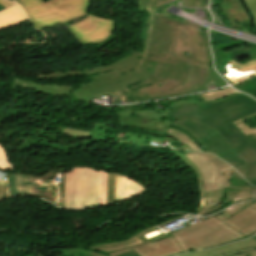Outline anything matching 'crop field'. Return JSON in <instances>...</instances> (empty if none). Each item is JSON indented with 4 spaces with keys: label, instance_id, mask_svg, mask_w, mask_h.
I'll return each mask as SVG.
<instances>
[{
    "label": "crop field",
    "instance_id": "obj_32",
    "mask_svg": "<svg viewBox=\"0 0 256 256\" xmlns=\"http://www.w3.org/2000/svg\"><path fill=\"white\" fill-rule=\"evenodd\" d=\"M4 152H3V148L0 145V169L1 170L13 169L9 160L6 158Z\"/></svg>",
    "mask_w": 256,
    "mask_h": 256
},
{
    "label": "crop field",
    "instance_id": "obj_22",
    "mask_svg": "<svg viewBox=\"0 0 256 256\" xmlns=\"http://www.w3.org/2000/svg\"><path fill=\"white\" fill-rule=\"evenodd\" d=\"M168 135L170 136H173L175 137L176 139H178L181 143L183 144H188L189 147L193 150V151H202L200 150L196 145L195 143L190 139L188 138L184 133L180 132V131H177V130H174L172 128H169L168 130Z\"/></svg>",
    "mask_w": 256,
    "mask_h": 256
},
{
    "label": "crop field",
    "instance_id": "obj_12",
    "mask_svg": "<svg viewBox=\"0 0 256 256\" xmlns=\"http://www.w3.org/2000/svg\"><path fill=\"white\" fill-rule=\"evenodd\" d=\"M137 251L140 256H168L182 252L173 237L155 242H148L124 250L108 253L110 256H117L130 251ZM106 254V255H108Z\"/></svg>",
    "mask_w": 256,
    "mask_h": 256
},
{
    "label": "crop field",
    "instance_id": "obj_38",
    "mask_svg": "<svg viewBox=\"0 0 256 256\" xmlns=\"http://www.w3.org/2000/svg\"><path fill=\"white\" fill-rule=\"evenodd\" d=\"M5 197H8L7 188L3 187V186H0V200L5 198Z\"/></svg>",
    "mask_w": 256,
    "mask_h": 256
},
{
    "label": "crop field",
    "instance_id": "obj_23",
    "mask_svg": "<svg viewBox=\"0 0 256 256\" xmlns=\"http://www.w3.org/2000/svg\"><path fill=\"white\" fill-rule=\"evenodd\" d=\"M116 175L108 173L107 176V203H114Z\"/></svg>",
    "mask_w": 256,
    "mask_h": 256
},
{
    "label": "crop field",
    "instance_id": "obj_21",
    "mask_svg": "<svg viewBox=\"0 0 256 256\" xmlns=\"http://www.w3.org/2000/svg\"><path fill=\"white\" fill-rule=\"evenodd\" d=\"M236 199V202L251 200L250 191L225 190V202L229 203Z\"/></svg>",
    "mask_w": 256,
    "mask_h": 256
},
{
    "label": "crop field",
    "instance_id": "obj_13",
    "mask_svg": "<svg viewBox=\"0 0 256 256\" xmlns=\"http://www.w3.org/2000/svg\"><path fill=\"white\" fill-rule=\"evenodd\" d=\"M178 256H256L255 240L250 238L246 241Z\"/></svg>",
    "mask_w": 256,
    "mask_h": 256
},
{
    "label": "crop field",
    "instance_id": "obj_9",
    "mask_svg": "<svg viewBox=\"0 0 256 256\" xmlns=\"http://www.w3.org/2000/svg\"><path fill=\"white\" fill-rule=\"evenodd\" d=\"M227 44L212 46L217 70L234 84L256 74V48L250 47L229 55L225 54Z\"/></svg>",
    "mask_w": 256,
    "mask_h": 256
},
{
    "label": "crop field",
    "instance_id": "obj_39",
    "mask_svg": "<svg viewBox=\"0 0 256 256\" xmlns=\"http://www.w3.org/2000/svg\"><path fill=\"white\" fill-rule=\"evenodd\" d=\"M120 256H139V255H138V253H136L135 251H133V252L126 253V254H123V255H120Z\"/></svg>",
    "mask_w": 256,
    "mask_h": 256
},
{
    "label": "crop field",
    "instance_id": "obj_1",
    "mask_svg": "<svg viewBox=\"0 0 256 256\" xmlns=\"http://www.w3.org/2000/svg\"><path fill=\"white\" fill-rule=\"evenodd\" d=\"M205 46V33L155 13L146 62L159 66L148 78L150 83H156L164 98L226 85L208 69L210 58Z\"/></svg>",
    "mask_w": 256,
    "mask_h": 256
},
{
    "label": "crop field",
    "instance_id": "obj_25",
    "mask_svg": "<svg viewBox=\"0 0 256 256\" xmlns=\"http://www.w3.org/2000/svg\"><path fill=\"white\" fill-rule=\"evenodd\" d=\"M76 75H82L81 74V69L74 70V71L42 74L40 76H35L33 78H37V79H51V78H61V77H69V76H76Z\"/></svg>",
    "mask_w": 256,
    "mask_h": 256
},
{
    "label": "crop field",
    "instance_id": "obj_45",
    "mask_svg": "<svg viewBox=\"0 0 256 256\" xmlns=\"http://www.w3.org/2000/svg\"><path fill=\"white\" fill-rule=\"evenodd\" d=\"M3 9H5V8L0 5V11L3 10Z\"/></svg>",
    "mask_w": 256,
    "mask_h": 256
},
{
    "label": "crop field",
    "instance_id": "obj_26",
    "mask_svg": "<svg viewBox=\"0 0 256 256\" xmlns=\"http://www.w3.org/2000/svg\"><path fill=\"white\" fill-rule=\"evenodd\" d=\"M247 204V205H245ZM249 204H251V202H246V203H241V204H236L228 209L223 210V214L216 216L214 215L216 218L220 219V220H225L226 218L230 217L231 215L235 214L236 212L246 208Z\"/></svg>",
    "mask_w": 256,
    "mask_h": 256
},
{
    "label": "crop field",
    "instance_id": "obj_27",
    "mask_svg": "<svg viewBox=\"0 0 256 256\" xmlns=\"http://www.w3.org/2000/svg\"><path fill=\"white\" fill-rule=\"evenodd\" d=\"M255 115H256V114H253V115L248 116V117H246V118H244V119H241V120H239V121H235V122H234V124L237 126V128H239L245 136H248V135H250V134H255V135H256V128L250 129V128L247 126V124L243 121V120H245V119H247V118H250V117H253V116H255Z\"/></svg>",
    "mask_w": 256,
    "mask_h": 256
},
{
    "label": "crop field",
    "instance_id": "obj_35",
    "mask_svg": "<svg viewBox=\"0 0 256 256\" xmlns=\"http://www.w3.org/2000/svg\"><path fill=\"white\" fill-rule=\"evenodd\" d=\"M240 232L248 237L253 235L254 233H256V223Z\"/></svg>",
    "mask_w": 256,
    "mask_h": 256
},
{
    "label": "crop field",
    "instance_id": "obj_5",
    "mask_svg": "<svg viewBox=\"0 0 256 256\" xmlns=\"http://www.w3.org/2000/svg\"><path fill=\"white\" fill-rule=\"evenodd\" d=\"M171 234L183 252L213 247L245 238L214 216Z\"/></svg>",
    "mask_w": 256,
    "mask_h": 256
},
{
    "label": "crop field",
    "instance_id": "obj_30",
    "mask_svg": "<svg viewBox=\"0 0 256 256\" xmlns=\"http://www.w3.org/2000/svg\"><path fill=\"white\" fill-rule=\"evenodd\" d=\"M171 0H146V8H157ZM190 2H200L205 3V0H184Z\"/></svg>",
    "mask_w": 256,
    "mask_h": 256
},
{
    "label": "crop field",
    "instance_id": "obj_29",
    "mask_svg": "<svg viewBox=\"0 0 256 256\" xmlns=\"http://www.w3.org/2000/svg\"><path fill=\"white\" fill-rule=\"evenodd\" d=\"M230 186L250 188L247 186V182L235 170L233 171Z\"/></svg>",
    "mask_w": 256,
    "mask_h": 256
},
{
    "label": "crop field",
    "instance_id": "obj_42",
    "mask_svg": "<svg viewBox=\"0 0 256 256\" xmlns=\"http://www.w3.org/2000/svg\"><path fill=\"white\" fill-rule=\"evenodd\" d=\"M249 207L256 209V203L255 204H251Z\"/></svg>",
    "mask_w": 256,
    "mask_h": 256
},
{
    "label": "crop field",
    "instance_id": "obj_16",
    "mask_svg": "<svg viewBox=\"0 0 256 256\" xmlns=\"http://www.w3.org/2000/svg\"><path fill=\"white\" fill-rule=\"evenodd\" d=\"M144 190L146 189L142 188L135 182L117 175L115 201L134 196Z\"/></svg>",
    "mask_w": 256,
    "mask_h": 256
},
{
    "label": "crop field",
    "instance_id": "obj_37",
    "mask_svg": "<svg viewBox=\"0 0 256 256\" xmlns=\"http://www.w3.org/2000/svg\"><path fill=\"white\" fill-rule=\"evenodd\" d=\"M7 182H8V175L0 172V185L7 187Z\"/></svg>",
    "mask_w": 256,
    "mask_h": 256
},
{
    "label": "crop field",
    "instance_id": "obj_6",
    "mask_svg": "<svg viewBox=\"0 0 256 256\" xmlns=\"http://www.w3.org/2000/svg\"><path fill=\"white\" fill-rule=\"evenodd\" d=\"M36 28H47L85 15L91 0H18Z\"/></svg>",
    "mask_w": 256,
    "mask_h": 256
},
{
    "label": "crop field",
    "instance_id": "obj_28",
    "mask_svg": "<svg viewBox=\"0 0 256 256\" xmlns=\"http://www.w3.org/2000/svg\"><path fill=\"white\" fill-rule=\"evenodd\" d=\"M66 256H106L86 250L61 251Z\"/></svg>",
    "mask_w": 256,
    "mask_h": 256
},
{
    "label": "crop field",
    "instance_id": "obj_31",
    "mask_svg": "<svg viewBox=\"0 0 256 256\" xmlns=\"http://www.w3.org/2000/svg\"><path fill=\"white\" fill-rule=\"evenodd\" d=\"M242 92L253 94L256 91V83L253 81H248L238 86H234Z\"/></svg>",
    "mask_w": 256,
    "mask_h": 256
},
{
    "label": "crop field",
    "instance_id": "obj_20",
    "mask_svg": "<svg viewBox=\"0 0 256 256\" xmlns=\"http://www.w3.org/2000/svg\"><path fill=\"white\" fill-rule=\"evenodd\" d=\"M237 93H239V92H237L231 88H228V89H224V90L212 91V92L195 95V96L199 97L205 101H208V100H219V99H222L223 97H228V96H231V95L237 94Z\"/></svg>",
    "mask_w": 256,
    "mask_h": 256
},
{
    "label": "crop field",
    "instance_id": "obj_40",
    "mask_svg": "<svg viewBox=\"0 0 256 256\" xmlns=\"http://www.w3.org/2000/svg\"><path fill=\"white\" fill-rule=\"evenodd\" d=\"M0 4H1L2 6H4V7H6V8H8V7L11 6L10 4L4 2L3 0H0Z\"/></svg>",
    "mask_w": 256,
    "mask_h": 256
},
{
    "label": "crop field",
    "instance_id": "obj_14",
    "mask_svg": "<svg viewBox=\"0 0 256 256\" xmlns=\"http://www.w3.org/2000/svg\"><path fill=\"white\" fill-rule=\"evenodd\" d=\"M16 85L29 88L32 90L40 91L46 94H52L54 96L66 95L70 97L72 86L61 85H42L35 82H29L25 80H16Z\"/></svg>",
    "mask_w": 256,
    "mask_h": 256
},
{
    "label": "crop field",
    "instance_id": "obj_8",
    "mask_svg": "<svg viewBox=\"0 0 256 256\" xmlns=\"http://www.w3.org/2000/svg\"><path fill=\"white\" fill-rule=\"evenodd\" d=\"M100 171L88 168L72 169L65 174V207L88 208L97 206Z\"/></svg>",
    "mask_w": 256,
    "mask_h": 256
},
{
    "label": "crop field",
    "instance_id": "obj_11",
    "mask_svg": "<svg viewBox=\"0 0 256 256\" xmlns=\"http://www.w3.org/2000/svg\"><path fill=\"white\" fill-rule=\"evenodd\" d=\"M204 102L199 98H195L193 96L178 98V99H171L162 103L166 110H161L155 103L151 104H136V105H128V106H120L114 108L118 117L124 116H140L144 118H150L157 121H163L166 123H171L170 120L166 117V112L181 103H199Z\"/></svg>",
    "mask_w": 256,
    "mask_h": 256
},
{
    "label": "crop field",
    "instance_id": "obj_36",
    "mask_svg": "<svg viewBox=\"0 0 256 256\" xmlns=\"http://www.w3.org/2000/svg\"><path fill=\"white\" fill-rule=\"evenodd\" d=\"M250 7L254 17H255V25H256V0H245Z\"/></svg>",
    "mask_w": 256,
    "mask_h": 256
},
{
    "label": "crop field",
    "instance_id": "obj_44",
    "mask_svg": "<svg viewBox=\"0 0 256 256\" xmlns=\"http://www.w3.org/2000/svg\"><path fill=\"white\" fill-rule=\"evenodd\" d=\"M252 138L256 141V136L255 135H252Z\"/></svg>",
    "mask_w": 256,
    "mask_h": 256
},
{
    "label": "crop field",
    "instance_id": "obj_10",
    "mask_svg": "<svg viewBox=\"0 0 256 256\" xmlns=\"http://www.w3.org/2000/svg\"><path fill=\"white\" fill-rule=\"evenodd\" d=\"M115 21L90 15L87 18L67 26L82 44L101 42L114 30Z\"/></svg>",
    "mask_w": 256,
    "mask_h": 256
},
{
    "label": "crop field",
    "instance_id": "obj_43",
    "mask_svg": "<svg viewBox=\"0 0 256 256\" xmlns=\"http://www.w3.org/2000/svg\"><path fill=\"white\" fill-rule=\"evenodd\" d=\"M5 1L8 2V3H10V4H12V5L15 4L14 1H9V0H5Z\"/></svg>",
    "mask_w": 256,
    "mask_h": 256
},
{
    "label": "crop field",
    "instance_id": "obj_2",
    "mask_svg": "<svg viewBox=\"0 0 256 256\" xmlns=\"http://www.w3.org/2000/svg\"><path fill=\"white\" fill-rule=\"evenodd\" d=\"M256 113V100L242 93L213 103L177 106L166 114L171 121L194 119L213 126L248 161L247 181L256 186V142L232 121Z\"/></svg>",
    "mask_w": 256,
    "mask_h": 256
},
{
    "label": "crop field",
    "instance_id": "obj_41",
    "mask_svg": "<svg viewBox=\"0 0 256 256\" xmlns=\"http://www.w3.org/2000/svg\"><path fill=\"white\" fill-rule=\"evenodd\" d=\"M236 170L244 177L243 166L236 168Z\"/></svg>",
    "mask_w": 256,
    "mask_h": 256
},
{
    "label": "crop field",
    "instance_id": "obj_34",
    "mask_svg": "<svg viewBox=\"0 0 256 256\" xmlns=\"http://www.w3.org/2000/svg\"><path fill=\"white\" fill-rule=\"evenodd\" d=\"M221 8L243 9L239 0H223Z\"/></svg>",
    "mask_w": 256,
    "mask_h": 256
},
{
    "label": "crop field",
    "instance_id": "obj_3",
    "mask_svg": "<svg viewBox=\"0 0 256 256\" xmlns=\"http://www.w3.org/2000/svg\"><path fill=\"white\" fill-rule=\"evenodd\" d=\"M157 66L128 56L100 70L83 71L87 84L73 89L71 96L89 104L100 95H116V104L121 100L126 103L125 99H133L130 89L149 84L147 78L153 75Z\"/></svg>",
    "mask_w": 256,
    "mask_h": 256
},
{
    "label": "crop field",
    "instance_id": "obj_18",
    "mask_svg": "<svg viewBox=\"0 0 256 256\" xmlns=\"http://www.w3.org/2000/svg\"><path fill=\"white\" fill-rule=\"evenodd\" d=\"M28 18L18 5L0 12V30L27 21Z\"/></svg>",
    "mask_w": 256,
    "mask_h": 256
},
{
    "label": "crop field",
    "instance_id": "obj_46",
    "mask_svg": "<svg viewBox=\"0 0 256 256\" xmlns=\"http://www.w3.org/2000/svg\"><path fill=\"white\" fill-rule=\"evenodd\" d=\"M251 238H253V239H255V240H256V235H255V236H253V237H251Z\"/></svg>",
    "mask_w": 256,
    "mask_h": 256
},
{
    "label": "crop field",
    "instance_id": "obj_24",
    "mask_svg": "<svg viewBox=\"0 0 256 256\" xmlns=\"http://www.w3.org/2000/svg\"><path fill=\"white\" fill-rule=\"evenodd\" d=\"M106 176L107 173L101 172L98 189V206L105 204L106 199Z\"/></svg>",
    "mask_w": 256,
    "mask_h": 256
},
{
    "label": "crop field",
    "instance_id": "obj_4",
    "mask_svg": "<svg viewBox=\"0 0 256 256\" xmlns=\"http://www.w3.org/2000/svg\"><path fill=\"white\" fill-rule=\"evenodd\" d=\"M171 152L196 171L201 199H204L206 205L208 202L212 203L224 198L226 188L250 190L229 187L233 168L211 154L185 152L186 154L183 155L176 151Z\"/></svg>",
    "mask_w": 256,
    "mask_h": 256
},
{
    "label": "crop field",
    "instance_id": "obj_7",
    "mask_svg": "<svg viewBox=\"0 0 256 256\" xmlns=\"http://www.w3.org/2000/svg\"><path fill=\"white\" fill-rule=\"evenodd\" d=\"M188 132L208 152L216 154L225 162L236 168L244 166L247 179L246 160L214 128L194 120H178L172 123Z\"/></svg>",
    "mask_w": 256,
    "mask_h": 256
},
{
    "label": "crop field",
    "instance_id": "obj_33",
    "mask_svg": "<svg viewBox=\"0 0 256 256\" xmlns=\"http://www.w3.org/2000/svg\"><path fill=\"white\" fill-rule=\"evenodd\" d=\"M223 200H224V199H221V200H219V201H217V202L212 203L211 205H207V206L201 207V208L199 209L200 214L202 215V214H204V213L212 212V211H214V210L220 208L221 206L225 205V204H222V203H221V202H223ZM216 203H217L218 205L214 207L213 205L216 204Z\"/></svg>",
    "mask_w": 256,
    "mask_h": 256
},
{
    "label": "crop field",
    "instance_id": "obj_15",
    "mask_svg": "<svg viewBox=\"0 0 256 256\" xmlns=\"http://www.w3.org/2000/svg\"><path fill=\"white\" fill-rule=\"evenodd\" d=\"M235 230H241L256 222V210L247 207L223 221Z\"/></svg>",
    "mask_w": 256,
    "mask_h": 256
},
{
    "label": "crop field",
    "instance_id": "obj_19",
    "mask_svg": "<svg viewBox=\"0 0 256 256\" xmlns=\"http://www.w3.org/2000/svg\"><path fill=\"white\" fill-rule=\"evenodd\" d=\"M137 244H141V242L134 235V236L130 237V240H128L126 242L95 245V246H92V247H89V248L104 251L105 253H108V252L124 249V248H127V247H131V246H134V245H137Z\"/></svg>",
    "mask_w": 256,
    "mask_h": 256
},
{
    "label": "crop field",
    "instance_id": "obj_17",
    "mask_svg": "<svg viewBox=\"0 0 256 256\" xmlns=\"http://www.w3.org/2000/svg\"><path fill=\"white\" fill-rule=\"evenodd\" d=\"M119 122H120V125H123V126L140 127V128H146V129H152V130H158V131H164V132H167L170 126L169 124H166L163 122H157L154 120L143 119L139 117L119 118Z\"/></svg>",
    "mask_w": 256,
    "mask_h": 256
}]
</instances>
